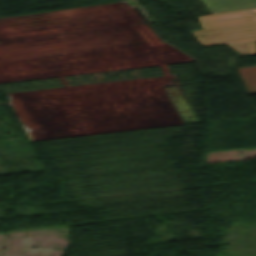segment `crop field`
Segmentation results:
<instances>
[{"label":"crop field","mask_w":256,"mask_h":256,"mask_svg":"<svg viewBox=\"0 0 256 256\" xmlns=\"http://www.w3.org/2000/svg\"><path fill=\"white\" fill-rule=\"evenodd\" d=\"M198 19L203 30L191 33L203 46L226 43L240 56L256 54V10L200 16Z\"/></svg>","instance_id":"8a807250"},{"label":"crop field","mask_w":256,"mask_h":256,"mask_svg":"<svg viewBox=\"0 0 256 256\" xmlns=\"http://www.w3.org/2000/svg\"><path fill=\"white\" fill-rule=\"evenodd\" d=\"M237 69L248 93H256V66Z\"/></svg>","instance_id":"ac0d7876"},{"label":"crop field","mask_w":256,"mask_h":256,"mask_svg":"<svg viewBox=\"0 0 256 256\" xmlns=\"http://www.w3.org/2000/svg\"><path fill=\"white\" fill-rule=\"evenodd\" d=\"M224 10L235 11L256 7V0H215Z\"/></svg>","instance_id":"34b2d1b8"},{"label":"crop field","mask_w":256,"mask_h":256,"mask_svg":"<svg viewBox=\"0 0 256 256\" xmlns=\"http://www.w3.org/2000/svg\"><path fill=\"white\" fill-rule=\"evenodd\" d=\"M212 14L227 12L224 11L214 0H201Z\"/></svg>","instance_id":"412701ff"}]
</instances>
